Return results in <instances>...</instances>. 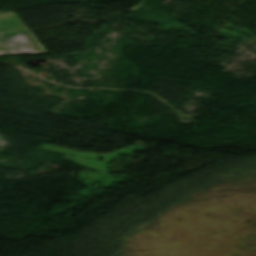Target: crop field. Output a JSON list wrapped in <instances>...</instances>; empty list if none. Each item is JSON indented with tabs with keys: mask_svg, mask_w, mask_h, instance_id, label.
<instances>
[{
	"mask_svg": "<svg viewBox=\"0 0 256 256\" xmlns=\"http://www.w3.org/2000/svg\"><path fill=\"white\" fill-rule=\"evenodd\" d=\"M45 52L26 25L13 13L0 14V55Z\"/></svg>",
	"mask_w": 256,
	"mask_h": 256,
	"instance_id": "8a807250",
	"label": "crop field"
}]
</instances>
